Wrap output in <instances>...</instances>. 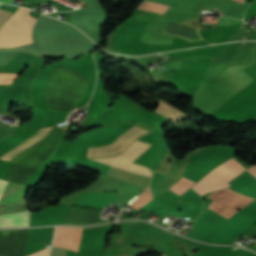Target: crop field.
<instances>
[{"label":"crop field","instance_id":"1","mask_svg":"<svg viewBox=\"0 0 256 256\" xmlns=\"http://www.w3.org/2000/svg\"><path fill=\"white\" fill-rule=\"evenodd\" d=\"M30 10L18 11L0 29V47H15L31 43V31L36 21L29 17Z\"/></svg>","mask_w":256,"mask_h":256},{"label":"crop field","instance_id":"2","mask_svg":"<svg viewBox=\"0 0 256 256\" xmlns=\"http://www.w3.org/2000/svg\"><path fill=\"white\" fill-rule=\"evenodd\" d=\"M145 126V125H144ZM141 124H136L124 131L113 142L105 146H89L87 158L111 157L122 153L138 137L152 131Z\"/></svg>","mask_w":256,"mask_h":256},{"label":"crop field","instance_id":"3","mask_svg":"<svg viewBox=\"0 0 256 256\" xmlns=\"http://www.w3.org/2000/svg\"><path fill=\"white\" fill-rule=\"evenodd\" d=\"M151 144L136 140L131 146H129L122 154L106 158V159H94L99 162L118 167L134 173L146 175L151 177V171L141 165L132 163L136 160Z\"/></svg>","mask_w":256,"mask_h":256},{"label":"crop field","instance_id":"4","mask_svg":"<svg viewBox=\"0 0 256 256\" xmlns=\"http://www.w3.org/2000/svg\"><path fill=\"white\" fill-rule=\"evenodd\" d=\"M227 191H229V189H225V190L219 191V192H214L209 196V198L214 200ZM252 200H253L252 198L246 197L244 195L238 194V193L230 190L226 194L222 195L218 199L211 202L208 209H210L228 219L239 208L246 205L247 203H249Z\"/></svg>","mask_w":256,"mask_h":256},{"label":"crop field","instance_id":"5","mask_svg":"<svg viewBox=\"0 0 256 256\" xmlns=\"http://www.w3.org/2000/svg\"><path fill=\"white\" fill-rule=\"evenodd\" d=\"M82 229L57 227L53 246L65 247L78 251Z\"/></svg>","mask_w":256,"mask_h":256},{"label":"crop field","instance_id":"6","mask_svg":"<svg viewBox=\"0 0 256 256\" xmlns=\"http://www.w3.org/2000/svg\"><path fill=\"white\" fill-rule=\"evenodd\" d=\"M118 193H90L85 192L79 196L73 204L86 206V207H96L103 208L107 205L113 204Z\"/></svg>","mask_w":256,"mask_h":256},{"label":"crop field","instance_id":"7","mask_svg":"<svg viewBox=\"0 0 256 256\" xmlns=\"http://www.w3.org/2000/svg\"><path fill=\"white\" fill-rule=\"evenodd\" d=\"M7 181L0 179V196ZM1 198V197H0ZM30 211L0 216V228H16L28 226Z\"/></svg>","mask_w":256,"mask_h":256},{"label":"crop field","instance_id":"8","mask_svg":"<svg viewBox=\"0 0 256 256\" xmlns=\"http://www.w3.org/2000/svg\"><path fill=\"white\" fill-rule=\"evenodd\" d=\"M52 129L53 127L51 126L42 128L32 137L28 138L24 142L9 150L2 157H0V159L9 161L13 160L15 157H17L19 154H21L23 151H25L27 148H29L31 145H33L35 142H37L39 139H41L43 136L49 133Z\"/></svg>","mask_w":256,"mask_h":256},{"label":"crop field","instance_id":"9","mask_svg":"<svg viewBox=\"0 0 256 256\" xmlns=\"http://www.w3.org/2000/svg\"><path fill=\"white\" fill-rule=\"evenodd\" d=\"M155 111L162 114L163 116L167 117L168 119H170L173 122L189 118L187 115H185L181 111L177 110L170 104L164 103L162 101H160L158 103Z\"/></svg>","mask_w":256,"mask_h":256},{"label":"crop field","instance_id":"10","mask_svg":"<svg viewBox=\"0 0 256 256\" xmlns=\"http://www.w3.org/2000/svg\"><path fill=\"white\" fill-rule=\"evenodd\" d=\"M168 8L169 6L161 5L154 2H148V1H144L142 5L139 7V9L152 11L160 14H163Z\"/></svg>","mask_w":256,"mask_h":256},{"label":"crop field","instance_id":"11","mask_svg":"<svg viewBox=\"0 0 256 256\" xmlns=\"http://www.w3.org/2000/svg\"><path fill=\"white\" fill-rule=\"evenodd\" d=\"M151 199H153L152 192L150 187L137 199L135 200L130 206H132L134 209H139L141 206L149 202Z\"/></svg>","mask_w":256,"mask_h":256},{"label":"crop field","instance_id":"12","mask_svg":"<svg viewBox=\"0 0 256 256\" xmlns=\"http://www.w3.org/2000/svg\"><path fill=\"white\" fill-rule=\"evenodd\" d=\"M224 164L226 167H228L230 170H232L234 173H236L237 175L239 173H241L243 170H245L246 168H244L242 165H240L238 162H236L234 159L230 158L227 161H225Z\"/></svg>","mask_w":256,"mask_h":256},{"label":"crop field","instance_id":"13","mask_svg":"<svg viewBox=\"0 0 256 256\" xmlns=\"http://www.w3.org/2000/svg\"><path fill=\"white\" fill-rule=\"evenodd\" d=\"M17 76L0 75V84H10Z\"/></svg>","mask_w":256,"mask_h":256},{"label":"crop field","instance_id":"14","mask_svg":"<svg viewBox=\"0 0 256 256\" xmlns=\"http://www.w3.org/2000/svg\"><path fill=\"white\" fill-rule=\"evenodd\" d=\"M12 15V13L0 9V26Z\"/></svg>","mask_w":256,"mask_h":256},{"label":"crop field","instance_id":"15","mask_svg":"<svg viewBox=\"0 0 256 256\" xmlns=\"http://www.w3.org/2000/svg\"><path fill=\"white\" fill-rule=\"evenodd\" d=\"M49 250H50V247H48V248H46L44 250H41L39 252H36V253H34L32 255H29V256H48Z\"/></svg>","mask_w":256,"mask_h":256},{"label":"crop field","instance_id":"16","mask_svg":"<svg viewBox=\"0 0 256 256\" xmlns=\"http://www.w3.org/2000/svg\"><path fill=\"white\" fill-rule=\"evenodd\" d=\"M0 2L12 4L13 0H0Z\"/></svg>","mask_w":256,"mask_h":256},{"label":"crop field","instance_id":"17","mask_svg":"<svg viewBox=\"0 0 256 256\" xmlns=\"http://www.w3.org/2000/svg\"><path fill=\"white\" fill-rule=\"evenodd\" d=\"M235 1H238V2H240V3L242 2V0H235Z\"/></svg>","mask_w":256,"mask_h":256},{"label":"crop field","instance_id":"18","mask_svg":"<svg viewBox=\"0 0 256 256\" xmlns=\"http://www.w3.org/2000/svg\"><path fill=\"white\" fill-rule=\"evenodd\" d=\"M77 208H79V207H77Z\"/></svg>","mask_w":256,"mask_h":256}]
</instances>
